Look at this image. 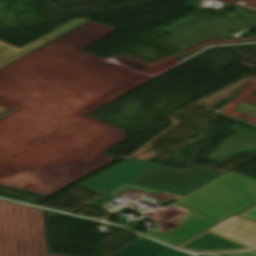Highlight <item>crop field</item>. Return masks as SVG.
<instances>
[{
  "label": "crop field",
  "mask_w": 256,
  "mask_h": 256,
  "mask_svg": "<svg viewBox=\"0 0 256 256\" xmlns=\"http://www.w3.org/2000/svg\"><path fill=\"white\" fill-rule=\"evenodd\" d=\"M102 197L88 206L102 208L106 196L158 192L157 210L141 209L159 226L145 235L172 246L256 203V180L187 166L185 170L130 158L79 184ZM137 216V217H139Z\"/></svg>",
  "instance_id": "crop-field-1"
},
{
  "label": "crop field",
  "mask_w": 256,
  "mask_h": 256,
  "mask_svg": "<svg viewBox=\"0 0 256 256\" xmlns=\"http://www.w3.org/2000/svg\"><path fill=\"white\" fill-rule=\"evenodd\" d=\"M210 230L251 247L256 246V223L238 215L224 221Z\"/></svg>",
  "instance_id": "crop-field-4"
},
{
  "label": "crop field",
  "mask_w": 256,
  "mask_h": 256,
  "mask_svg": "<svg viewBox=\"0 0 256 256\" xmlns=\"http://www.w3.org/2000/svg\"><path fill=\"white\" fill-rule=\"evenodd\" d=\"M224 256H256V251H254L252 253H248V254H228V255H224Z\"/></svg>",
  "instance_id": "crop-field-8"
},
{
  "label": "crop field",
  "mask_w": 256,
  "mask_h": 256,
  "mask_svg": "<svg viewBox=\"0 0 256 256\" xmlns=\"http://www.w3.org/2000/svg\"><path fill=\"white\" fill-rule=\"evenodd\" d=\"M87 18H80V19H73L66 24L58 27L57 29L51 31L50 34L38 39L36 42L24 46L20 49L10 46L2 41H0V68L9 64L10 62L22 57L23 55L29 53L30 51L34 50L38 46L42 45L43 43L87 22ZM46 38V40H43ZM8 109L3 108L0 106V114L7 111Z\"/></svg>",
  "instance_id": "crop-field-3"
},
{
  "label": "crop field",
  "mask_w": 256,
  "mask_h": 256,
  "mask_svg": "<svg viewBox=\"0 0 256 256\" xmlns=\"http://www.w3.org/2000/svg\"><path fill=\"white\" fill-rule=\"evenodd\" d=\"M168 248L165 245L143 237L115 253L121 256H155Z\"/></svg>",
  "instance_id": "crop-field-5"
},
{
  "label": "crop field",
  "mask_w": 256,
  "mask_h": 256,
  "mask_svg": "<svg viewBox=\"0 0 256 256\" xmlns=\"http://www.w3.org/2000/svg\"><path fill=\"white\" fill-rule=\"evenodd\" d=\"M159 256H188V255L184 254L182 252L176 251L174 249H171V250H169V251H167V252H165V253H163Z\"/></svg>",
  "instance_id": "crop-field-7"
},
{
  "label": "crop field",
  "mask_w": 256,
  "mask_h": 256,
  "mask_svg": "<svg viewBox=\"0 0 256 256\" xmlns=\"http://www.w3.org/2000/svg\"><path fill=\"white\" fill-rule=\"evenodd\" d=\"M213 256H222V255H213Z\"/></svg>",
  "instance_id": "crop-field-9"
},
{
  "label": "crop field",
  "mask_w": 256,
  "mask_h": 256,
  "mask_svg": "<svg viewBox=\"0 0 256 256\" xmlns=\"http://www.w3.org/2000/svg\"><path fill=\"white\" fill-rule=\"evenodd\" d=\"M177 247L182 250L192 251L196 253L240 251L251 248L210 230L196 236L195 238Z\"/></svg>",
  "instance_id": "crop-field-2"
},
{
  "label": "crop field",
  "mask_w": 256,
  "mask_h": 256,
  "mask_svg": "<svg viewBox=\"0 0 256 256\" xmlns=\"http://www.w3.org/2000/svg\"><path fill=\"white\" fill-rule=\"evenodd\" d=\"M238 215L243 216L245 218H248V219L256 222V206H254Z\"/></svg>",
  "instance_id": "crop-field-6"
}]
</instances>
